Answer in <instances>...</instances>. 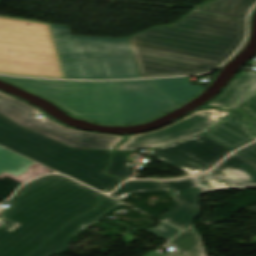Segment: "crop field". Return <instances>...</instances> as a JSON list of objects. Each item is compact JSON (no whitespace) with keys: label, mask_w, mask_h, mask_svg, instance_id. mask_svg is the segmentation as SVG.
<instances>
[{"label":"crop field","mask_w":256,"mask_h":256,"mask_svg":"<svg viewBox=\"0 0 256 256\" xmlns=\"http://www.w3.org/2000/svg\"><path fill=\"white\" fill-rule=\"evenodd\" d=\"M120 205L122 204L118 201L104 195L93 211L70 221L29 256H52L66 252L76 234L83 231L88 225L99 222L106 214Z\"/></svg>","instance_id":"crop-field-11"},{"label":"crop field","mask_w":256,"mask_h":256,"mask_svg":"<svg viewBox=\"0 0 256 256\" xmlns=\"http://www.w3.org/2000/svg\"><path fill=\"white\" fill-rule=\"evenodd\" d=\"M167 189L156 181H128L121 185L119 189L113 192L110 196L120 200L127 197L131 192Z\"/></svg>","instance_id":"crop-field-19"},{"label":"crop field","mask_w":256,"mask_h":256,"mask_svg":"<svg viewBox=\"0 0 256 256\" xmlns=\"http://www.w3.org/2000/svg\"><path fill=\"white\" fill-rule=\"evenodd\" d=\"M33 162L26 160L2 147H0V173L9 172L16 176L27 171Z\"/></svg>","instance_id":"crop-field-18"},{"label":"crop field","mask_w":256,"mask_h":256,"mask_svg":"<svg viewBox=\"0 0 256 256\" xmlns=\"http://www.w3.org/2000/svg\"><path fill=\"white\" fill-rule=\"evenodd\" d=\"M236 153L256 164V143Z\"/></svg>","instance_id":"crop-field-23"},{"label":"crop field","mask_w":256,"mask_h":256,"mask_svg":"<svg viewBox=\"0 0 256 256\" xmlns=\"http://www.w3.org/2000/svg\"><path fill=\"white\" fill-rule=\"evenodd\" d=\"M146 231L156 236H159L165 240L169 239L170 237L174 236L176 233L179 232V230L174 229L162 222L158 227Z\"/></svg>","instance_id":"crop-field-21"},{"label":"crop field","mask_w":256,"mask_h":256,"mask_svg":"<svg viewBox=\"0 0 256 256\" xmlns=\"http://www.w3.org/2000/svg\"><path fill=\"white\" fill-rule=\"evenodd\" d=\"M102 194L61 175L23 186L0 209V256H26L71 218L91 209Z\"/></svg>","instance_id":"crop-field-2"},{"label":"crop field","mask_w":256,"mask_h":256,"mask_svg":"<svg viewBox=\"0 0 256 256\" xmlns=\"http://www.w3.org/2000/svg\"><path fill=\"white\" fill-rule=\"evenodd\" d=\"M0 145L103 192L121 181L102 174L111 152L75 150L28 131L1 114Z\"/></svg>","instance_id":"crop-field-4"},{"label":"crop field","mask_w":256,"mask_h":256,"mask_svg":"<svg viewBox=\"0 0 256 256\" xmlns=\"http://www.w3.org/2000/svg\"><path fill=\"white\" fill-rule=\"evenodd\" d=\"M66 79L139 78L126 39L72 36L49 24Z\"/></svg>","instance_id":"crop-field-5"},{"label":"crop field","mask_w":256,"mask_h":256,"mask_svg":"<svg viewBox=\"0 0 256 256\" xmlns=\"http://www.w3.org/2000/svg\"><path fill=\"white\" fill-rule=\"evenodd\" d=\"M0 79L56 101L77 117L109 124H132L156 117L176 106L149 80L75 82Z\"/></svg>","instance_id":"crop-field-3"},{"label":"crop field","mask_w":256,"mask_h":256,"mask_svg":"<svg viewBox=\"0 0 256 256\" xmlns=\"http://www.w3.org/2000/svg\"><path fill=\"white\" fill-rule=\"evenodd\" d=\"M234 110L245 111L248 119L256 118V93L254 96Z\"/></svg>","instance_id":"crop-field-22"},{"label":"crop field","mask_w":256,"mask_h":256,"mask_svg":"<svg viewBox=\"0 0 256 256\" xmlns=\"http://www.w3.org/2000/svg\"><path fill=\"white\" fill-rule=\"evenodd\" d=\"M127 154L114 152L112 155V163L105 171L106 174L119 178H127L131 175L132 163L125 160Z\"/></svg>","instance_id":"crop-field-20"},{"label":"crop field","mask_w":256,"mask_h":256,"mask_svg":"<svg viewBox=\"0 0 256 256\" xmlns=\"http://www.w3.org/2000/svg\"><path fill=\"white\" fill-rule=\"evenodd\" d=\"M159 183L174 191V196L200 211L201 194L227 188H256V165L234 153L208 173Z\"/></svg>","instance_id":"crop-field-8"},{"label":"crop field","mask_w":256,"mask_h":256,"mask_svg":"<svg viewBox=\"0 0 256 256\" xmlns=\"http://www.w3.org/2000/svg\"><path fill=\"white\" fill-rule=\"evenodd\" d=\"M245 21L191 12L178 23L127 38L140 77L197 74L237 49Z\"/></svg>","instance_id":"crop-field-1"},{"label":"crop field","mask_w":256,"mask_h":256,"mask_svg":"<svg viewBox=\"0 0 256 256\" xmlns=\"http://www.w3.org/2000/svg\"><path fill=\"white\" fill-rule=\"evenodd\" d=\"M196 232V231H195ZM193 228H188L177 235L167 244L175 247L174 251L161 255L154 251L147 256H205L204 248L200 241V236L196 234Z\"/></svg>","instance_id":"crop-field-14"},{"label":"crop field","mask_w":256,"mask_h":256,"mask_svg":"<svg viewBox=\"0 0 256 256\" xmlns=\"http://www.w3.org/2000/svg\"><path fill=\"white\" fill-rule=\"evenodd\" d=\"M252 126L254 127V129L256 130V119L255 120H250Z\"/></svg>","instance_id":"crop-field-24"},{"label":"crop field","mask_w":256,"mask_h":256,"mask_svg":"<svg viewBox=\"0 0 256 256\" xmlns=\"http://www.w3.org/2000/svg\"><path fill=\"white\" fill-rule=\"evenodd\" d=\"M255 92L256 73L242 72V74L234 79L225 91L208 104V106L232 109L251 98Z\"/></svg>","instance_id":"crop-field-13"},{"label":"crop field","mask_w":256,"mask_h":256,"mask_svg":"<svg viewBox=\"0 0 256 256\" xmlns=\"http://www.w3.org/2000/svg\"><path fill=\"white\" fill-rule=\"evenodd\" d=\"M243 115L231 112L201 134L233 151L256 139L248 122L241 121Z\"/></svg>","instance_id":"crop-field-12"},{"label":"crop field","mask_w":256,"mask_h":256,"mask_svg":"<svg viewBox=\"0 0 256 256\" xmlns=\"http://www.w3.org/2000/svg\"><path fill=\"white\" fill-rule=\"evenodd\" d=\"M150 81L178 104L187 101L205 88V86L201 85H191L187 77L154 79Z\"/></svg>","instance_id":"crop-field-15"},{"label":"crop field","mask_w":256,"mask_h":256,"mask_svg":"<svg viewBox=\"0 0 256 256\" xmlns=\"http://www.w3.org/2000/svg\"><path fill=\"white\" fill-rule=\"evenodd\" d=\"M256 0H211L194 11L245 19L247 10Z\"/></svg>","instance_id":"crop-field-16"},{"label":"crop field","mask_w":256,"mask_h":256,"mask_svg":"<svg viewBox=\"0 0 256 256\" xmlns=\"http://www.w3.org/2000/svg\"><path fill=\"white\" fill-rule=\"evenodd\" d=\"M229 152L231 151L198 134L164 147L150 149L149 154L196 174L215 165Z\"/></svg>","instance_id":"crop-field-9"},{"label":"crop field","mask_w":256,"mask_h":256,"mask_svg":"<svg viewBox=\"0 0 256 256\" xmlns=\"http://www.w3.org/2000/svg\"><path fill=\"white\" fill-rule=\"evenodd\" d=\"M174 199L176 201V206L171 212L168 213L164 221L184 229L185 227L194 223L195 218L200 214V212L176 197H174Z\"/></svg>","instance_id":"crop-field-17"},{"label":"crop field","mask_w":256,"mask_h":256,"mask_svg":"<svg viewBox=\"0 0 256 256\" xmlns=\"http://www.w3.org/2000/svg\"><path fill=\"white\" fill-rule=\"evenodd\" d=\"M0 113L26 129L75 148L113 150L123 137L82 132L61 125L34 107L0 92ZM44 117L39 119L38 115Z\"/></svg>","instance_id":"crop-field-7"},{"label":"crop field","mask_w":256,"mask_h":256,"mask_svg":"<svg viewBox=\"0 0 256 256\" xmlns=\"http://www.w3.org/2000/svg\"><path fill=\"white\" fill-rule=\"evenodd\" d=\"M228 113L217 110L195 111L180 121L158 131L127 136L128 140L119 145L116 150L131 152L143 147L153 148L163 146L202 132Z\"/></svg>","instance_id":"crop-field-10"},{"label":"crop field","mask_w":256,"mask_h":256,"mask_svg":"<svg viewBox=\"0 0 256 256\" xmlns=\"http://www.w3.org/2000/svg\"><path fill=\"white\" fill-rule=\"evenodd\" d=\"M0 73L65 79L49 25L0 16Z\"/></svg>","instance_id":"crop-field-6"}]
</instances>
